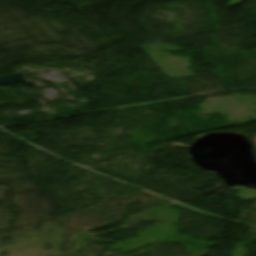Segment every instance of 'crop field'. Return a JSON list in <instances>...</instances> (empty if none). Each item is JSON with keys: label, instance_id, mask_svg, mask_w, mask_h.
<instances>
[{"label": "crop field", "instance_id": "1", "mask_svg": "<svg viewBox=\"0 0 256 256\" xmlns=\"http://www.w3.org/2000/svg\"><path fill=\"white\" fill-rule=\"evenodd\" d=\"M230 1L234 2L233 4L230 5V6L232 7V6H234V5H236V4L240 3V2H242V1H244V0H230Z\"/></svg>", "mask_w": 256, "mask_h": 256}]
</instances>
